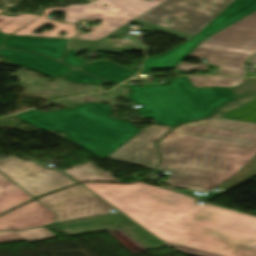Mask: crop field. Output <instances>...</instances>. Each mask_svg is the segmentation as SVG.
I'll return each mask as SVG.
<instances>
[{"label":"crop field","mask_w":256,"mask_h":256,"mask_svg":"<svg viewBox=\"0 0 256 256\" xmlns=\"http://www.w3.org/2000/svg\"><path fill=\"white\" fill-rule=\"evenodd\" d=\"M175 250L194 256H256V218L142 182L83 183Z\"/></svg>","instance_id":"crop-field-1"},{"label":"crop field","mask_w":256,"mask_h":256,"mask_svg":"<svg viewBox=\"0 0 256 256\" xmlns=\"http://www.w3.org/2000/svg\"><path fill=\"white\" fill-rule=\"evenodd\" d=\"M214 117L173 129L159 143L165 184L209 191L256 155V124Z\"/></svg>","instance_id":"crop-field-2"},{"label":"crop field","mask_w":256,"mask_h":256,"mask_svg":"<svg viewBox=\"0 0 256 256\" xmlns=\"http://www.w3.org/2000/svg\"><path fill=\"white\" fill-rule=\"evenodd\" d=\"M53 104L70 108L77 103L60 100ZM112 109L90 103L51 112L33 109L13 116L40 129L66 133L68 139L102 160L141 131L127 121L110 117Z\"/></svg>","instance_id":"crop-field-3"},{"label":"crop field","mask_w":256,"mask_h":256,"mask_svg":"<svg viewBox=\"0 0 256 256\" xmlns=\"http://www.w3.org/2000/svg\"><path fill=\"white\" fill-rule=\"evenodd\" d=\"M164 1L165 0H98L88 5H69L65 8H45L41 17L31 14H22L18 17H6L0 14V31L5 34L13 35L70 38L79 32V30H76V25L62 24L46 19L52 11L66 12L64 20L66 23H78V21L83 19L101 20L107 18L105 16L106 14L116 17L107 22L110 26L108 29L100 26H92L90 27L91 32L89 34L82 33L73 38L98 40ZM102 4H107V7H102ZM46 23L54 25L55 28L51 31H44L41 35L31 34L32 31ZM61 31L68 33L60 37L58 33Z\"/></svg>","instance_id":"crop-field-4"},{"label":"crop field","mask_w":256,"mask_h":256,"mask_svg":"<svg viewBox=\"0 0 256 256\" xmlns=\"http://www.w3.org/2000/svg\"><path fill=\"white\" fill-rule=\"evenodd\" d=\"M168 81V86L151 85L141 88L126 85L131 92L127 97L132 104L144 106L136 109L143 119L152 117L156 124L173 126L207 117L217 106L236 99L231 88H196L187 77Z\"/></svg>","instance_id":"crop-field-5"},{"label":"crop field","mask_w":256,"mask_h":256,"mask_svg":"<svg viewBox=\"0 0 256 256\" xmlns=\"http://www.w3.org/2000/svg\"><path fill=\"white\" fill-rule=\"evenodd\" d=\"M210 38L188 56L208 58V64L220 65V74L245 76L244 61L256 52V11Z\"/></svg>","instance_id":"crop-field-6"},{"label":"crop field","mask_w":256,"mask_h":256,"mask_svg":"<svg viewBox=\"0 0 256 256\" xmlns=\"http://www.w3.org/2000/svg\"><path fill=\"white\" fill-rule=\"evenodd\" d=\"M233 0H167L149 12L133 20L150 30L157 29L184 39L197 34ZM187 12L179 17L174 14ZM180 18L174 25L164 21L171 17Z\"/></svg>","instance_id":"crop-field-7"},{"label":"crop field","mask_w":256,"mask_h":256,"mask_svg":"<svg viewBox=\"0 0 256 256\" xmlns=\"http://www.w3.org/2000/svg\"><path fill=\"white\" fill-rule=\"evenodd\" d=\"M256 10V0H234L214 20L204 27L189 42L167 52L166 54L147 59L140 74H150V69L174 68L182 61L203 39L215 34L246 15ZM153 77L167 76L166 74H152Z\"/></svg>","instance_id":"crop-field-8"},{"label":"crop field","mask_w":256,"mask_h":256,"mask_svg":"<svg viewBox=\"0 0 256 256\" xmlns=\"http://www.w3.org/2000/svg\"><path fill=\"white\" fill-rule=\"evenodd\" d=\"M0 173L33 198L75 183L60 171L14 156L0 159Z\"/></svg>","instance_id":"crop-field-9"},{"label":"crop field","mask_w":256,"mask_h":256,"mask_svg":"<svg viewBox=\"0 0 256 256\" xmlns=\"http://www.w3.org/2000/svg\"><path fill=\"white\" fill-rule=\"evenodd\" d=\"M38 200L57 214L55 223L108 214L110 213L108 210L112 209L80 185Z\"/></svg>","instance_id":"crop-field-10"},{"label":"crop field","mask_w":256,"mask_h":256,"mask_svg":"<svg viewBox=\"0 0 256 256\" xmlns=\"http://www.w3.org/2000/svg\"><path fill=\"white\" fill-rule=\"evenodd\" d=\"M67 235L89 233L118 228L148 250L165 246L143 228L136 225L123 214H113L93 219L57 224ZM61 230V231H62Z\"/></svg>","instance_id":"crop-field-11"},{"label":"crop field","mask_w":256,"mask_h":256,"mask_svg":"<svg viewBox=\"0 0 256 256\" xmlns=\"http://www.w3.org/2000/svg\"><path fill=\"white\" fill-rule=\"evenodd\" d=\"M169 129V127L150 125L107 158L154 168L159 163L154 142Z\"/></svg>","instance_id":"crop-field-12"},{"label":"crop field","mask_w":256,"mask_h":256,"mask_svg":"<svg viewBox=\"0 0 256 256\" xmlns=\"http://www.w3.org/2000/svg\"><path fill=\"white\" fill-rule=\"evenodd\" d=\"M56 215L37 200L0 217V230L26 229L53 224Z\"/></svg>","instance_id":"crop-field-13"},{"label":"crop field","mask_w":256,"mask_h":256,"mask_svg":"<svg viewBox=\"0 0 256 256\" xmlns=\"http://www.w3.org/2000/svg\"><path fill=\"white\" fill-rule=\"evenodd\" d=\"M68 40L7 35L1 47L40 53L60 62Z\"/></svg>","instance_id":"crop-field-14"},{"label":"crop field","mask_w":256,"mask_h":256,"mask_svg":"<svg viewBox=\"0 0 256 256\" xmlns=\"http://www.w3.org/2000/svg\"><path fill=\"white\" fill-rule=\"evenodd\" d=\"M0 56L7 57V62L9 63L25 66L54 79L75 70L62 63L35 53L1 48Z\"/></svg>","instance_id":"crop-field-15"},{"label":"crop field","mask_w":256,"mask_h":256,"mask_svg":"<svg viewBox=\"0 0 256 256\" xmlns=\"http://www.w3.org/2000/svg\"><path fill=\"white\" fill-rule=\"evenodd\" d=\"M129 25H124L113 33L100 39L99 41L71 40L69 47L84 50L101 51V52H118L123 53L129 50H142L141 44L130 37L126 32ZM129 37L128 40L123 39ZM115 37L116 39H108Z\"/></svg>","instance_id":"crop-field-16"},{"label":"crop field","mask_w":256,"mask_h":256,"mask_svg":"<svg viewBox=\"0 0 256 256\" xmlns=\"http://www.w3.org/2000/svg\"><path fill=\"white\" fill-rule=\"evenodd\" d=\"M78 70L109 81L115 85L135 74L133 71L106 61L93 62L79 68Z\"/></svg>","instance_id":"crop-field-17"},{"label":"crop field","mask_w":256,"mask_h":256,"mask_svg":"<svg viewBox=\"0 0 256 256\" xmlns=\"http://www.w3.org/2000/svg\"><path fill=\"white\" fill-rule=\"evenodd\" d=\"M31 199L33 198L0 174V214Z\"/></svg>","instance_id":"crop-field-18"},{"label":"crop field","mask_w":256,"mask_h":256,"mask_svg":"<svg viewBox=\"0 0 256 256\" xmlns=\"http://www.w3.org/2000/svg\"><path fill=\"white\" fill-rule=\"evenodd\" d=\"M71 177L77 181H110L119 182L111 175L103 172L93 166L91 163H86L77 167H73L72 170L66 171Z\"/></svg>","instance_id":"crop-field-19"},{"label":"crop field","mask_w":256,"mask_h":256,"mask_svg":"<svg viewBox=\"0 0 256 256\" xmlns=\"http://www.w3.org/2000/svg\"><path fill=\"white\" fill-rule=\"evenodd\" d=\"M45 228L42 227V228L21 231V232H13V231L0 232V243L23 240V239H27L29 242H32L37 240L48 239L55 236L53 233H51ZM12 233H16V234L12 235Z\"/></svg>","instance_id":"crop-field-20"},{"label":"crop field","mask_w":256,"mask_h":256,"mask_svg":"<svg viewBox=\"0 0 256 256\" xmlns=\"http://www.w3.org/2000/svg\"><path fill=\"white\" fill-rule=\"evenodd\" d=\"M191 82H195L198 87H236L244 79L226 76H187ZM202 83L203 85H199ZM194 85V86H195Z\"/></svg>","instance_id":"crop-field-21"},{"label":"crop field","mask_w":256,"mask_h":256,"mask_svg":"<svg viewBox=\"0 0 256 256\" xmlns=\"http://www.w3.org/2000/svg\"><path fill=\"white\" fill-rule=\"evenodd\" d=\"M61 78L79 83V84H86V83H93V84H97V85H103V84H107L109 82H106L104 80L98 79L96 77H93L91 75H88L86 73H83L81 71L75 70Z\"/></svg>","instance_id":"crop-field-22"},{"label":"crop field","mask_w":256,"mask_h":256,"mask_svg":"<svg viewBox=\"0 0 256 256\" xmlns=\"http://www.w3.org/2000/svg\"><path fill=\"white\" fill-rule=\"evenodd\" d=\"M108 232L112 234L119 242H121L133 254L144 251V249H142L140 246H138L136 243H134L132 240H130L128 237H126L117 229L109 230Z\"/></svg>","instance_id":"crop-field-23"},{"label":"crop field","mask_w":256,"mask_h":256,"mask_svg":"<svg viewBox=\"0 0 256 256\" xmlns=\"http://www.w3.org/2000/svg\"><path fill=\"white\" fill-rule=\"evenodd\" d=\"M78 51L76 50H70L68 49L63 60H62V63L66 64V65H69L75 69L89 63V62H85V61H81V60H77V59H74L76 54H77Z\"/></svg>","instance_id":"crop-field-24"},{"label":"crop field","mask_w":256,"mask_h":256,"mask_svg":"<svg viewBox=\"0 0 256 256\" xmlns=\"http://www.w3.org/2000/svg\"><path fill=\"white\" fill-rule=\"evenodd\" d=\"M256 91V79H246L239 87L235 88L234 93L240 97Z\"/></svg>","instance_id":"crop-field-25"},{"label":"crop field","mask_w":256,"mask_h":256,"mask_svg":"<svg viewBox=\"0 0 256 256\" xmlns=\"http://www.w3.org/2000/svg\"><path fill=\"white\" fill-rule=\"evenodd\" d=\"M253 99H256V95L242 98V99H240V100H238L234 103H231L227 106H224V107L220 108L218 111H221L223 113H227V112H229V111H231V110H233V109H235V108H237V107H239V106H241V105H243V104H245V103H247V102H249Z\"/></svg>","instance_id":"crop-field-26"},{"label":"crop field","mask_w":256,"mask_h":256,"mask_svg":"<svg viewBox=\"0 0 256 256\" xmlns=\"http://www.w3.org/2000/svg\"><path fill=\"white\" fill-rule=\"evenodd\" d=\"M175 68L184 70V71H188V72H190L194 69H206L204 63L194 65V64H190V63H184V62H180Z\"/></svg>","instance_id":"crop-field-27"},{"label":"crop field","mask_w":256,"mask_h":256,"mask_svg":"<svg viewBox=\"0 0 256 256\" xmlns=\"http://www.w3.org/2000/svg\"><path fill=\"white\" fill-rule=\"evenodd\" d=\"M170 189H171V188H170ZM174 190H176V189H174ZM178 191H181V190H178ZM183 192H185V193H187V194H189V195H191V196H194V197H196V198H198V199H201V200H203V201H205V202H207V201L213 199L214 197H216L217 195H219V194L222 193V192H210L207 196L198 197V196H196L195 194H193L192 192H189V191H183ZM222 194H223V193H222Z\"/></svg>","instance_id":"crop-field-28"},{"label":"crop field","mask_w":256,"mask_h":256,"mask_svg":"<svg viewBox=\"0 0 256 256\" xmlns=\"http://www.w3.org/2000/svg\"><path fill=\"white\" fill-rule=\"evenodd\" d=\"M106 16H108L109 18L102 20V22L100 23V25L107 28V27H109V26L106 25L105 22L108 21V20H110V19H112V18H114V17H111V16H109V15H106Z\"/></svg>","instance_id":"crop-field-29"},{"label":"crop field","mask_w":256,"mask_h":256,"mask_svg":"<svg viewBox=\"0 0 256 256\" xmlns=\"http://www.w3.org/2000/svg\"><path fill=\"white\" fill-rule=\"evenodd\" d=\"M5 34H3L2 32H0V46H1V44H2V42H3V40H4V38H5Z\"/></svg>","instance_id":"crop-field-30"},{"label":"crop field","mask_w":256,"mask_h":256,"mask_svg":"<svg viewBox=\"0 0 256 256\" xmlns=\"http://www.w3.org/2000/svg\"><path fill=\"white\" fill-rule=\"evenodd\" d=\"M249 63H255L256 64V55L248 60Z\"/></svg>","instance_id":"crop-field-31"},{"label":"crop field","mask_w":256,"mask_h":256,"mask_svg":"<svg viewBox=\"0 0 256 256\" xmlns=\"http://www.w3.org/2000/svg\"><path fill=\"white\" fill-rule=\"evenodd\" d=\"M86 1L93 2V1H95V0H86Z\"/></svg>","instance_id":"crop-field-32"}]
</instances>
